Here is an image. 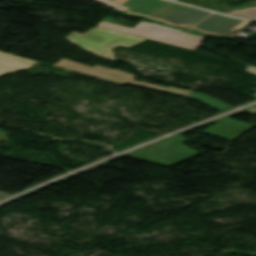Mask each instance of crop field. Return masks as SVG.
<instances>
[{
    "mask_svg": "<svg viewBox=\"0 0 256 256\" xmlns=\"http://www.w3.org/2000/svg\"><path fill=\"white\" fill-rule=\"evenodd\" d=\"M129 7L125 12L144 15L175 26L196 28L204 33L225 36L235 28L244 29L240 21L200 9L164 0H112Z\"/></svg>",
    "mask_w": 256,
    "mask_h": 256,
    "instance_id": "8a807250",
    "label": "crop field"
},
{
    "mask_svg": "<svg viewBox=\"0 0 256 256\" xmlns=\"http://www.w3.org/2000/svg\"><path fill=\"white\" fill-rule=\"evenodd\" d=\"M98 27L158 41L191 51H197L206 36L194 31L167 27L162 24L142 19L134 29L127 28L116 19L105 18Z\"/></svg>",
    "mask_w": 256,
    "mask_h": 256,
    "instance_id": "ac0d7876",
    "label": "crop field"
},
{
    "mask_svg": "<svg viewBox=\"0 0 256 256\" xmlns=\"http://www.w3.org/2000/svg\"><path fill=\"white\" fill-rule=\"evenodd\" d=\"M65 40L99 57L115 62L117 59L113 56L112 48L118 45L131 47L146 39L95 27L82 34L74 31Z\"/></svg>",
    "mask_w": 256,
    "mask_h": 256,
    "instance_id": "34b2d1b8",
    "label": "crop field"
},
{
    "mask_svg": "<svg viewBox=\"0 0 256 256\" xmlns=\"http://www.w3.org/2000/svg\"><path fill=\"white\" fill-rule=\"evenodd\" d=\"M185 141H187V139L176 135L140 148L124 156L161 166L171 167L201 154L200 152L182 144Z\"/></svg>",
    "mask_w": 256,
    "mask_h": 256,
    "instance_id": "412701ff",
    "label": "crop field"
},
{
    "mask_svg": "<svg viewBox=\"0 0 256 256\" xmlns=\"http://www.w3.org/2000/svg\"><path fill=\"white\" fill-rule=\"evenodd\" d=\"M54 66L64 68V69H67L76 73H80L86 76L120 84V85L130 84V85L148 88L152 90L180 95L184 97H187L191 93L190 91H186V90H182L174 87L164 88V87H160V86L149 84L142 81L137 82L133 80V77L135 75L124 72V71H120L117 69L108 70L97 65L90 67V66L74 63L64 58H62L60 61L54 64Z\"/></svg>",
    "mask_w": 256,
    "mask_h": 256,
    "instance_id": "f4fd0767",
    "label": "crop field"
},
{
    "mask_svg": "<svg viewBox=\"0 0 256 256\" xmlns=\"http://www.w3.org/2000/svg\"><path fill=\"white\" fill-rule=\"evenodd\" d=\"M253 126L254 125L252 124L225 118L214 126L203 131V133L223 138L232 142L243 133L251 129Z\"/></svg>",
    "mask_w": 256,
    "mask_h": 256,
    "instance_id": "dd49c442",
    "label": "crop field"
},
{
    "mask_svg": "<svg viewBox=\"0 0 256 256\" xmlns=\"http://www.w3.org/2000/svg\"><path fill=\"white\" fill-rule=\"evenodd\" d=\"M35 63L37 61L0 52V77L8 73L29 69Z\"/></svg>",
    "mask_w": 256,
    "mask_h": 256,
    "instance_id": "e52e79f7",
    "label": "crop field"
},
{
    "mask_svg": "<svg viewBox=\"0 0 256 256\" xmlns=\"http://www.w3.org/2000/svg\"><path fill=\"white\" fill-rule=\"evenodd\" d=\"M188 98L198 100V101H200L202 103H205L207 105H210V106H212V107H214V108H216V109H218L220 111H223L225 109H228V108L232 107V106H229L227 104L221 103V102H219V101H217V100H215V99H213V98H211V97H209V96H207L205 94H201V93L192 92L188 96Z\"/></svg>",
    "mask_w": 256,
    "mask_h": 256,
    "instance_id": "d8731c3e",
    "label": "crop field"
},
{
    "mask_svg": "<svg viewBox=\"0 0 256 256\" xmlns=\"http://www.w3.org/2000/svg\"><path fill=\"white\" fill-rule=\"evenodd\" d=\"M225 14L231 15V16H236V17H241V18L256 20V7L240 9V10L225 13Z\"/></svg>",
    "mask_w": 256,
    "mask_h": 256,
    "instance_id": "5a996713",
    "label": "crop field"
},
{
    "mask_svg": "<svg viewBox=\"0 0 256 256\" xmlns=\"http://www.w3.org/2000/svg\"><path fill=\"white\" fill-rule=\"evenodd\" d=\"M88 1H101L102 3L106 4L107 7H110V8H113V9H117V10H120V11H124L125 9H127V7L125 6H122L120 4H117V3H114L110 0H88Z\"/></svg>",
    "mask_w": 256,
    "mask_h": 256,
    "instance_id": "3316defc",
    "label": "crop field"
},
{
    "mask_svg": "<svg viewBox=\"0 0 256 256\" xmlns=\"http://www.w3.org/2000/svg\"><path fill=\"white\" fill-rule=\"evenodd\" d=\"M223 252H226V253H234V254H242V255H250V256H256V253L241 252V251L223 250Z\"/></svg>",
    "mask_w": 256,
    "mask_h": 256,
    "instance_id": "28ad6ade",
    "label": "crop field"
},
{
    "mask_svg": "<svg viewBox=\"0 0 256 256\" xmlns=\"http://www.w3.org/2000/svg\"><path fill=\"white\" fill-rule=\"evenodd\" d=\"M246 71L250 72V73H253V74H256V68L255 67L248 66Z\"/></svg>",
    "mask_w": 256,
    "mask_h": 256,
    "instance_id": "d1516ede",
    "label": "crop field"
},
{
    "mask_svg": "<svg viewBox=\"0 0 256 256\" xmlns=\"http://www.w3.org/2000/svg\"><path fill=\"white\" fill-rule=\"evenodd\" d=\"M247 111L250 112V113L256 114V108H254V109H249V110H247Z\"/></svg>",
    "mask_w": 256,
    "mask_h": 256,
    "instance_id": "22f410ed",
    "label": "crop field"
},
{
    "mask_svg": "<svg viewBox=\"0 0 256 256\" xmlns=\"http://www.w3.org/2000/svg\"><path fill=\"white\" fill-rule=\"evenodd\" d=\"M9 194H4V193H0V199L3 198V197H6L8 196Z\"/></svg>",
    "mask_w": 256,
    "mask_h": 256,
    "instance_id": "cbeb9de0",
    "label": "crop field"
},
{
    "mask_svg": "<svg viewBox=\"0 0 256 256\" xmlns=\"http://www.w3.org/2000/svg\"><path fill=\"white\" fill-rule=\"evenodd\" d=\"M252 97L256 99V92L254 93V95Z\"/></svg>",
    "mask_w": 256,
    "mask_h": 256,
    "instance_id": "5142ce71",
    "label": "crop field"
},
{
    "mask_svg": "<svg viewBox=\"0 0 256 256\" xmlns=\"http://www.w3.org/2000/svg\"><path fill=\"white\" fill-rule=\"evenodd\" d=\"M256 107V106H255Z\"/></svg>",
    "mask_w": 256,
    "mask_h": 256,
    "instance_id": "d9b57169",
    "label": "crop field"
}]
</instances>
